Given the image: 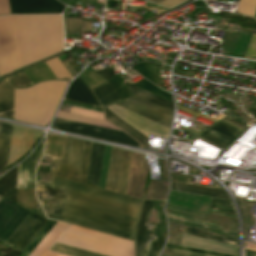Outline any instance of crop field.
<instances>
[{
    "label": "crop field",
    "instance_id": "1",
    "mask_svg": "<svg viewBox=\"0 0 256 256\" xmlns=\"http://www.w3.org/2000/svg\"><path fill=\"white\" fill-rule=\"evenodd\" d=\"M37 189L48 193L50 209L51 199L59 200L48 218L134 242L142 200L54 176L37 181Z\"/></svg>",
    "mask_w": 256,
    "mask_h": 256
},
{
    "label": "crop field",
    "instance_id": "2",
    "mask_svg": "<svg viewBox=\"0 0 256 256\" xmlns=\"http://www.w3.org/2000/svg\"><path fill=\"white\" fill-rule=\"evenodd\" d=\"M23 67L61 52V15L15 16Z\"/></svg>",
    "mask_w": 256,
    "mask_h": 256
},
{
    "label": "crop field",
    "instance_id": "3",
    "mask_svg": "<svg viewBox=\"0 0 256 256\" xmlns=\"http://www.w3.org/2000/svg\"><path fill=\"white\" fill-rule=\"evenodd\" d=\"M125 83L134 95L116 104L169 128L173 104L127 82Z\"/></svg>",
    "mask_w": 256,
    "mask_h": 256
},
{
    "label": "crop field",
    "instance_id": "4",
    "mask_svg": "<svg viewBox=\"0 0 256 256\" xmlns=\"http://www.w3.org/2000/svg\"><path fill=\"white\" fill-rule=\"evenodd\" d=\"M106 108H108L110 111L115 113L121 119H123L128 124L133 126L135 129H137L139 132L144 134L146 137H148V134H151V135L168 138L169 129L162 125H159L153 121H150L144 117H141L115 104H112ZM106 108H104V111H105V117L108 121H110L120 129H122L124 132H126L136 141H138L143 148H147L148 138H146L144 135L139 133L137 130H135L133 127L128 125L126 122L121 120L119 117H117L115 114H113Z\"/></svg>",
    "mask_w": 256,
    "mask_h": 256
},
{
    "label": "crop field",
    "instance_id": "5",
    "mask_svg": "<svg viewBox=\"0 0 256 256\" xmlns=\"http://www.w3.org/2000/svg\"><path fill=\"white\" fill-rule=\"evenodd\" d=\"M90 144L67 137L63 160L52 158L57 170L50 169L49 174L84 183Z\"/></svg>",
    "mask_w": 256,
    "mask_h": 256
},
{
    "label": "crop field",
    "instance_id": "6",
    "mask_svg": "<svg viewBox=\"0 0 256 256\" xmlns=\"http://www.w3.org/2000/svg\"><path fill=\"white\" fill-rule=\"evenodd\" d=\"M21 67L14 16L0 17V77Z\"/></svg>",
    "mask_w": 256,
    "mask_h": 256
},
{
    "label": "crop field",
    "instance_id": "7",
    "mask_svg": "<svg viewBox=\"0 0 256 256\" xmlns=\"http://www.w3.org/2000/svg\"><path fill=\"white\" fill-rule=\"evenodd\" d=\"M52 127L56 130L66 131L90 138L118 142L139 147L138 143H136L134 140H132L130 137L120 131L67 121L58 118L55 119Z\"/></svg>",
    "mask_w": 256,
    "mask_h": 256
},
{
    "label": "crop field",
    "instance_id": "8",
    "mask_svg": "<svg viewBox=\"0 0 256 256\" xmlns=\"http://www.w3.org/2000/svg\"><path fill=\"white\" fill-rule=\"evenodd\" d=\"M154 201H144L137 227V256H146L156 225L147 224ZM165 238L153 236L147 256H158Z\"/></svg>",
    "mask_w": 256,
    "mask_h": 256
},
{
    "label": "crop field",
    "instance_id": "9",
    "mask_svg": "<svg viewBox=\"0 0 256 256\" xmlns=\"http://www.w3.org/2000/svg\"><path fill=\"white\" fill-rule=\"evenodd\" d=\"M30 211L5 199L0 201V242L5 243Z\"/></svg>",
    "mask_w": 256,
    "mask_h": 256
},
{
    "label": "crop field",
    "instance_id": "10",
    "mask_svg": "<svg viewBox=\"0 0 256 256\" xmlns=\"http://www.w3.org/2000/svg\"><path fill=\"white\" fill-rule=\"evenodd\" d=\"M171 189L212 196L211 205L209 209L236 215V212L231 204V201L229 200L224 190L174 181H172Z\"/></svg>",
    "mask_w": 256,
    "mask_h": 256
},
{
    "label": "crop field",
    "instance_id": "11",
    "mask_svg": "<svg viewBox=\"0 0 256 256\" xmlns=\"http://www.w3.org/2000/svg\"><path fill=\"white\" fill-rule=\"evenodd\" d=\"M33 85L24 71L0 82V116L13 119L14 89Z\"/></svg>",
    "mask_w": 256,
    "mask_h": 256
},
{
    "label": "crop field",
    "instance_id": "12",
    "mask_svg": "<svg viewBox=\"0 0 256 256\" xmlns=\"http://www.w3.org/2000/svg\"><path fill=\"white\" fill-rule=\"evenodd\" d=\"M47 221L48 219L31 212L6 244L11 245L12 250L21 252Z\"/></svg>",
    "mask_w": 256,
    "mask_h": 256
},
{
    "label": "crop field",
    "instance_id": "13",
    "mask_svg": "<svg viewBox=\"0 0 256 256\" xmlns=\"http://www.w3.org/2000/svg\"><path fill=\"white\" fill-rule=\"evenodd\" d=\"M11 14L62 13L64 5L56 0H9Z\"/></svg>",
    "mask_w": 256,
    "mask_h": 256
},
{
    "label": "crop field",
    "instance_id": "14",
    "mask_svg": "<svg viewBox=\"0 0 256 256\" xmlns=\"http://www.w3.org/2000/svg\"><path fill=\"white\" fill-rule=\"evenodd\" d=\"M243 129L221 119L199 138L224 149Z\"/></svg>",
    "mask_w": 256,
    "mask_h": 256
},
{
    "label": "crop field",
    "instance_id": "15",
    "mask_svg": "<svg viewBox=\"0 0 256 256\" xmlns=\"http://www.w3.org/2000/svg\"><path fill=\"white\" fill-rule=\"evenodd\" d=\"M41 135V132L14 126L8 165L21 158Z\"/></svg>",
    "mask_w": 256,
    "mask_h": 256
},
{
    "label": "crop field",
    "instance_id": "16",
    "mask_svg": "<svg viewBox=\"0 0 256 256\" xmlns=\"http://www.w3.org/2000/svg\"><path fill=\"white\" fill-rule=\"evenodd\" d=\"M147 170L143 156L134 153L126 195L142 199Z\"/></svg>",
    "mask_w": 256,
    "mask_h": 256
},
{
    "label": "crop field",
    "instance_id": "17",
    "mask_svg": "<svg viewBox=\"0 0 256 256\" xmlns=\"http://www.w3.org/2000/svg\"><path fill=\"white\" fill-rule=\"evenodd\" d=\"M44 140L35 152L20 164L18 188L34 189V173L36 164L41 156Z\"/></svg>",
    "mask_w": 256,
    "mask_h": 256
},
{
    "label": "crop field",
    "instance_id": "18",
    "mask_svg": "<svg viewBox=\"0 0 256 256\" xmlns=\"http://www.w3.org/2000/svg\"><path fill=\"white\" fill-rule=\"evenodd\" d=\"M181 246L205 249L213 252L226 253V254L238 256L237 247L197 238V237L186 235V234H183V240H182Z\"/></svg>",
    "mask_w": 256,
    "mask_h": 256
},
{
    "label": "crop field",
    "instance_id": "19",
    "mask_svg": "<svg viewBox=\"0 0 256 256\" xmlns=\"http://www.w3.org/2000/svg\"><path fill=\"white\" fill-rule=\"evenodd\" d=\"M123 149L112 147L105 189L117 192Z\"/></svg>",
    "mask_w": 256,
    "mask_h": 256
},
{
    "label": "crop field",
    "instance_id": "20",
    "mask_svg": "<svg viewBox=\"0 0 256 256\" xmlns=\"http://www.w3.org/2000/svg\"><path fill=\"white\" fill-rule=\"evenodd\" d=\"M103 148H104V145L92 142L86 181H85L86 184L97 187Z\"/></svg>",
    "mask_w": 256,
    "mask_h": 256
},
{
    "label": "crop field",
    "instance_id": "21",
    "mask_svg": "<svg viewBox=\"0 0 256 256\" xmlns=\"http://www.w3.org/2000/svg\"><path fill=\"white\" fill-rule=\"evenodd\" d=\"M64 99L101 107L96 98L79 77L71 84Z\"/></svg>",
    "mask_w": 256,
    "mask_h": 256
},
{
    "label": "crop field",
    "instance_id": "22",
    "mask_svg": "<svg viewBox=\"0 0 256 256\" xmlns=\"http://www.w3.org/2000/svg\"><path fill=\"white\" fill-rule=\"evenodd\" d=\"M19 166L0 178V196L16 203Z\"/></svg>",
    "mask_w": 256,
    "mask_h": 256
},
{
    "label": "crop field",
    "instance_id": "23",
    "mask_svg": "<svg viewBox=\"0 0 256 256\" xmlns=\"http://www.w3.org/2000/svg\"><path fill=\"white\" fill-rule=\"evenodd\" d=\"M13 126L3 124L0 132V171L6 167Z\"/></svg>",
    "mask_w": 256,
    "mask_h": 256
},
{
    "label": "crop field",
    "instance_id": "24",
    "mask_svg": "<svg viewBox=\"0 0 256 256\" xmlns=\"http://www.w3.org/2000/svg\"><path fill=\"white\" fill-rule=\"evenodd\" d=\"M65 139L64 136L48 134L44 156L62 159Z\"/></svg>",
    "mask_w": 256,
    "mask_h": 256
},
{
    "label": "crop field",
    "instance_id": "25",
    "mask_svg": "<svg viewBox=\"0 0 256 256\" xmlns=\"http://www.w3.org/2000/svg\"><path fill=\"white\" fill-rule=\"evenodd\" d=\"M185 228H186L185 229L186 234H190V235H194L197 237H201V238H205V239H209V240H213V241H217V242H221V243H225V244H229V245L238 247L236 239L228 238L223 235H219V234H215V233H211V232H207V231H203V230H198V229L191 228L188 226H185Z\"/></svg>",
    "mask_w": 256,
    "mask_h": 256
},
{
    "label": "crop field",
    "instance_id": "26",
    "mask_svg": "<svg viewBox=\"0 0 256 256\" xmlns=\"http://www.w3.org/2000/svg\"><path fill=\"white\" fill-rule=\"evenodd\" d=\"M25 73L28 75L33 84L38 81L56 79L45 62L25 70Z\"/></svg>",
    "mask_w": 256,
    "mask_h": 256
},
{
    "label": "crop field",
    "instance_id": "27",
    "mask_svg": "<svg viewBox=\"0 0 256 256\" xmlns=\"http://www.w3.org/2000/svg\"><path fill=\"white\" fill-rule=\"evenodd\" d=\"M131 68L136 70V72L146 77L153 83L160 86L159 64H151L144 62Z\"/></svg>",
    "mask_w": 256,
    "mask_h": 256
},
{
    "label": "crop field",
    "instance_id": "28",
    "mask_svg": "<svg viewBox=\"0 0 256 256\" xmlns=\"http://www.w3.org/2000/svg\"><path fill=\"white\" fill-rule=\"evenodd\" d=\"M66 35L85 33L91 30L90 21L84 18H64Z\"/></svg>",
    "mask_w": 256,
    "mask_h": 256
},
{
    "label": "crop field",
    "instance_id": "29",
    "mask_svg": "<svg viewBox=\"0 0 256 256\" xmlns=\"http://www.w3.org/2000/svg\"><path fill=\"white\" fill-rule=\"evenodd\" d=\"M169 181H151L145 199L165 200Z\"/></svg>",
    "mask_w": 256,
    "mask_h": 256
},
{
    "label": "crop field",
    "instance_id": "30",
    "mask_svg": "<svg viewBox=\"0 0 256 256\" xmlns=\"http://www.w3.org/2000/svg\"><path fill=\"white\" fill-rule=\"evenodd\" d=\"M95 96L98 98L103 107L119 100V97L116 95L111 86L107 83L103 84L99 88L92 91Z\"/></svg>",
    "mask_w": 256,
    "mask_h": 256
},
{
    "label": "crop field",
    "instance_id": "31",
    "mask_svg": "<svg viewBox=\"0 0 256 256\" xmlns=\"http://www.w3.org/2000/svg\"><path fill=\"white\" fill-rule=\"evenodd\" d=\"M56 117L118 130L112 125H110L109 123H107L106 121L84 117L80 115H75V114H70L66 112L59 111Z\"/></svg>",
    "mask_w": 256,
    "mask_h": 256
},
{
    "label": "crop field",
    "instance_id": "32",
    "mask_svg": "<svg viewBox=\"0 0 256 256\" xmlns=\"http://www.w3.org/2000/svg\"><path fill=\"white\" fill-rule=\"evenodd\" d=\"M132 155H133L132 152L125 150L122 171H121V177H120V183H119V189H118V192L122 193V194L126 193V187H127L128 177H129Z\"/></svg>",
    "mask_w": 256,
    "mask_h": 256
},
{
    "label": "crop field",
    "instance_id": "33",
    "mask_svg": "<svg viewBox=\"0 0 256 256\" xmlns=\"http://www.w3.org/2000/svg\"><path fill=\"white\" fill-rule=\"evenodd\" d=\"M17 204L34 211L36 195L34 190L18 189Z\"/></svg>",
    "mask_w": 256,
    "mask_h": 256
},
{
    "label": "crop field",
    "instance_id": "34",
    "mask_svg": "<svg viewBox=\"0 0 256 256\" xmlns=\"http://www.w3.org/2000/svg\"><path fill=\"white\" fill-rule=\"evenodd\" d=\"M50 250L70 256H103L57 243H55Z\"/></svg>",
    "mask_w": 256,
    "mask_h": 256
},
{
    "label": "crop field",
    "instance_id": "35",
    "mask_svg": "<svg viewBox=\"0 0 256 256\" xmlns=\"http://www.w3.org/2000/svg\"><path fill=\"white\" fill-rule=\"evenodd\" d=\"M46 64L52 70L57 79L72 78L71 74L62 65V63L58 60L57 57L47 61Z\"/></svg>",
    "mask_w": 256,
    "mask_h": 256
},
{
    "label": "crop field",
    "instance_id": "36",
    "mask_svg": "<svg viewBox=\"0 0 256 256\" xmlns=\"http://www.w3.org/2000/svg\"><path fill=\"white\" fill-rule=\"evenodd\" d=\"M56 222L49 220L48 223L43 227L35 239L30 243V245L23 252L22 256H28L33 249L38 245V243L44 238V236L49 232V230L54 226Z\"/></svg>",
    "mask_w": 256,
    "mask_h": 256
},
{
    "label": "crop field",
    "instance_id": "37",
    "mask_svg": "<svg viewBox=\"0 0 256 256\" xmlns=\"http://www.w3.org/2000/svg\"><path fill=\"white\" fill-rule=\"evenodd\" d=\"M237 12L254 17L256 13V0H240Z\"/></svg>",
    "mask_w": 256,
    "mask_h": 256
},
{
    "label": "crop field",
    "instance_id": "38",
    "mask_svg": "<svg viewBox=\"0 0 256 256\" xmlns=\"http://www.w3.org/2000/svg\"><path fill=\"white\" fill-rule=\"evenodd\" d=\"M135 85L141 87V88H144L150 92H153L161 97H164L170 101H172V97H171V94L161 90L160 88L156 87L155 85L151 84L150 82L142 79L140 81H138L137 83H135Z\"/></svg>",
    "mask_w": 256,
    "mask_h": 256
},
{
    "label": "crop field",
    "instance_id": "39",
    "mask_svg": "<svg viewBox=\"0 0 256 256\" xmlns=\"http://www.w3.org/2000/svg\"><path fill=\"white\" fill-rule=\"evenodd\" d=\"M68 225L62 223L35 256H43Z\"/></svg>",
    "mask_w": 256,
    "mask_h": 256
},
{
    "label": "crop field",
    "instance_id": "40",
    "mask_svg": "<svg viewBox=\"0 0 256 256\" xmlns=\"http://www.w3.org/2000/svg\"><path fill=\"white\" fill-rule=\"evenodd\" d=\"M251 57L256 58V35L254 34L251 35L244 58L250 59Z\"/></svg>",
    "mask_w": 256,
    "mask_h": 256
},
{
    "label": "crop field",
    "instance_id": "41",
    "mask_svg": "<svg viewBox=\"0 0 256 256\" xmlns=\"http://www.w3.org/2000/svg\"><path fill=\"white\" fill-rule=\"evenodd\" d=\"M70 112L104 120L103 114L97 113V112L87 111V110L78 109V108H74V107L71 108Z\"/></svg>",
    "mask_w": 256,
    "mask_h": 256
},
{
    "label": "crop field",
    "instance_id": "42",
    "mask_svg": "<svg viewBox=\"0 0 256 256\" xmlns=\"http://www.w3.org/2000/svg\"><path fill=\"white\" fill-rule=\"evenodd\" d=\"M61 223L57 222L55 226L50 230V232L45 236V238L40 242V244L35 248V250L30 254V256H34L36 252L42 247V245L48 240V238L53 234V232L59 227Z\"/></svg>",
    "mask_w": 256,
    "mask_h": 256
},
{
    "label": "crop field",
    "instance_id": "43",
    "mask_svg": "<svg viewBox=\"0 0 256 256\" xmlns=\"http://www.w3.org/2000/svg\"><path fill=\"white\" fill-rule=\"evenodd\" d=\"M96 73H98L106 81L115 77L113 72H112V69H104V70L96 71Z\"/></svg>",
    "mask_w": 256,
    "mask_h": 256
},
{
    "label": "crop field",
    "instance_id": "44",
    "mask_svg": "<svg viewBox=\"0 0 256 256\" xmlns=\"http://www.w3.org/2000/svg\"><path fill=\"white\" fill-rule=\"evenodd\" d=\"M176 106H177L178 109H181V110H183V111H185V112H187V113H189V114H191V115H194V116H196V117L200 116V117H203V118H205V119L211 120V121H213V122L217 121V120H215V119H212V118L207 117V116H205V115H202V114H200V113L194 112V111H192V110H189V109L184 108V107H182V106H179V105H177V104H176ZM181 110H180V111H181Z\"/></svg>",
    "mask_w": 256,
    "mask_h": 256
},
{
    "label": "crop field",
    "instance_id": "45",
    "mask_svg": "<svg viewBox=\"0 0 256 256\" xmlns=\"http://www.w3.org/2000/svg\"><path fill=\"white\" fill-rule=\"evenodd\" d=\"M10 14L8 0H0V15Z\"/></svg>",
    "mask_w": 256,
    "mask_h": 256
},
{
    "label": "crop field",
    "instance_id": "46",
    "mask_svg": "<svg viewBox=\"0 0 256 256\" xmlns=\"http://www.w3.org/2000/svg\"><path fill=\"white\" fill-rule=\"evenodd\" d=\"M166 247L183 249V250H189V251H195V252H201V253H207V254H213V255H219V256H229V255L213 253V252H208V251L195 250V249H189V248H182V247H177V246H173V245H169V244H167Z\"/></svg>",
    "mask_w": 256,
    "mask_h": 256
},
{
    "label": "crop field",
    "instance_id": "47",
    "mask_svg": "<svg viewBox=\"0 0 256 256\" xmlns=\"http://www.w3.org/2000/svg\"><path fill=\"white\" fill-rule=\"evenodd\" d=\"M182 1H184V0H166L162 3H160L159 5H162L167 8H171V7L181 3Z\"/></svg>",
    "mask_w": 256,
    "mask_h": 256
},
{
    "label": "crop field",
    "instance_id": "48",
    "mask_svg": "<svg viewBox=\"0 0 256 256\" xmlns=\"http://www.w3.org/2000/svg\"><path fill=\"white\" fill-rule=\"evenodd\" d=\"M168 216H172V217H178V218H183V219H188V220H192V221H196V222H199V223H202V224H205V225H209V226H212V227H215V228H220V226L218 225H214V224H211V223H208V222H204V221H200V220H196V219H191V218H186V217H181V216H176V215H172V214H168L166 213ZM223 230V229H222Z\"/></svg>",
    "mask_w": 256,
    "mask_h": 256
},
{
    "label": "crop field",
    "instance_id": "49",
    "mask_svg": "<svg viewBox=\"0 0 256 256\" xmlns=\"http://www.w3.org/2000/svg\"><path fill=\"white\" fill-rule=\"evenodd\" d=\"M172 251L181 252V253H187V254H193V255L212 256V255H206V254H200V253H194V252H188V251H182V250H176V249H172Z\"/></svg>",
    "mask_w": 256,
    "mask_h": 256
},
{
    "label": "crop field",
    "instance_id": "50",
    "mask_svg": "<svg viewBox=\"0 0 256 256\" xmlns=\"http://www.w3.org/2000/svg\"><path fill=\"white\" fill-rule=\"evenodd\" d=\"M209 212H211V213H217V214H222V215H225V216H227V217H231V218L237 219V217L234 216V215H228V214H224V213H220V212L212 211V210H209Z\"/></svg>",
    "mask_w": 256,
    "mask_h": 256
},
{
    "label": "crop field",
    "instance_id": "51",
    "mask_svg": "<svg viewBox=\"0 0 256 256\" xmlns=\"http://www.w3.org/2000/svg\"><path fill=\"white\" fill-rule=\"evenodd\" d=\"M148 1H151V2H153V3L158 4V3H160V2H162V1H164V0H148Z\"/></svg>",
    "mask_w": 256,
    "mask_h": 256
},
{
    "label": "crop field",
    "instance_id": "52",
    "mask_svg": "<svg viewBox=\"0 0 256 256\" xmlns=\"http://www.w3.org/2000/svg\"><path fill=\"white\" fill-rule=\"evenodd\" d=\"M0 126H1V123H0Z\"/></svg>",
    "mask_w": 256,
    "mask_h": 256
},
{
    "label": "crop field",
    "instance_id": "53",
    "mask_svg": "<svg viewBox=\"0 0 256 256\" xmlns=\"http://www.w3.org/2000/svg\"><path fill=\"white\" fill-rule=\"evenodd\" d=\"M0 199H1V197H0Z\"/></svg>",
    "mask_w": 256,
    "mask_h": 256
}]
</instances>
